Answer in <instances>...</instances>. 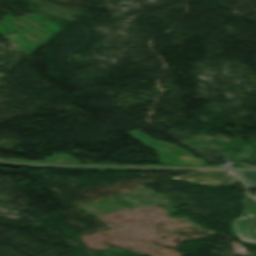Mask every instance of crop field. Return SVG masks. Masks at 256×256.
I'll return each instance as SVG.
<instances>
[{"label":"crop field","instance_id":"412701ff","mask_svg":"<svg viewBox=\"0 0 256 256\" xmlns=\"http://www.w3.org/2000/svg\"><path fill=\"white\" fill-rule=\"evenodd\" d=\"M249 188L256 187V171H235Z\"/></svg>","mask_w":256,"mask_h":256},{"label":"crop field","instance_id":"34b2d1b8","mask_svg":"<svg viewBox=\"0 0 256 256\" xmlns=\"http://www.w3.org/2000/svg\"><path fill=\"white\" fill-rule=\"evenodd\" d=\"M173 179L188 180L210 186H231L237 180V178L226 176L220 171L205 170H196L184 176H176Z\"/></svg>","mask_w":256,"mask_h":256},{"label":"crop field","instance_id":"8a807250","mask_svg":"<svg viewBox=\"0 0 256 256\" xmlns=\"http://www.w3.org/2000/svg\"><path fill=\"white\" fill-rule=\"evenodd\" d=\"M129 134L155 149L166 164L203 165L202 160L192 157L189 153L177 147L165 142L153 141L138 131H129Z\"/></svg>","mask_w":256,"mask_h":256},{"label":"crop field","instance_id":"ac0d7876","mask_svg":"<svg viewBox=\"0 0 256 256\" xmlns=\"http://www.w3.org/2000/svg\"><path fill=\"white\" fill-rule=\"evenodd\" d=\"M244 215L233 221V225L243 241L256 243V200L243 199Z\"/></svg>","mask_w":256,"mask_h":256},{"label":"crop field","instance_id":"f4fd0767","mask_svg":"<svg viewBox=\"0 0 256 256\" xmlns=\"http://www.w3.org/2000/svg\"><path fill=\"white\" fill-rule=\"evenodd\" d=\"M45 162H60V163H72L76 164L77 160L66 157L65 155H54V157L45 159Z\"/></svg>","mask_w":256,"mask_h":256}]
</instances>
